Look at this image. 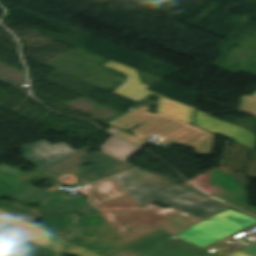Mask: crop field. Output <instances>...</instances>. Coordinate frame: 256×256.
I'll list each match as a JSON object with an SVG mask.
<instances>
[{"label": "crop field", "instance_id": "crop-field-6", "mask_svg": "<svg viewBox=\"0 0 256 256\" xmlns=\"http://www.w3.org/2000/svg\"><path fill=\"white\" fill-rule=\"evenodd\" d=\"M162 230L101 254L102 256H218Z\"/></svg>", "mask_w": 256, "mask_h": 256}, {"label": "crop field", "instance_id": "crop-field-20", "mask_svg": "<svg viewBox=\"0 0 256 256\" xmlns=\"http://www.w3.org/2000/svg\"><path fill=\"white\" fill-rule=\"evenodd\" d=\"M219 171V170H218ZM221 172V171H220ZM226 174V173H225ZM227 175H229V174H227ZM230 176H232V175H230ZM232 177H234L235 178V176H232Z\"/></svg>", "mask_w": 256, "mask_h": 256}, {"label": "crop field", "instance_id": "crop-field-10", "mask_svg": "<svg viewBox=\"0 0 256 256\" xmlns=\"http://www.w3.org/2000/svg\"><path fill=\"white\" fill-rule=\"evenodd\" d=\"M234 180L230 176L214 171L211 185L221 190L210 195L243 209L248 205L247 191Z\"/></svg>", "mask_w": 256, "mask_h": 256}, {"label": "crop field", "instance_id": "crop-field-1", "mask_svg": "<svg viewBox=\"0 0 256 256\" xmlns=\"http://www.w3.org/2000/svg\"><path fill=\"white\" fill-rule=\"evenodd\" d=\"M19 175L22 174L11 167L0 165V181L15 188L12 190L0 183V197L8 195V198L28 205L43 201L41 206L37 210L14 201L1 200L0 209L98 254L125 244L100 213L80 217L73 213V210L84 214L97 212L88 200L81 196L63 200L49 191L21 183L14 178ZM39 217L43 226L35 223ZM84 232H99L107 236H83Z\"/></svg>", "mask_w": 256, "mask_h": 256}, {"label": "crop field", "instance_id": "crop-field-9", "mask_svg": "<svg viewBox=\"0 0 256 256\" xmlns=\"http://www.w3.org/2000/svg\"><path fill=\"white\" fill-rule=\"evenodd\" d=\"M0 226L19 233L23 237L57 253H63L68 242L61 237L40 229L2 210H0Z\"/></svg>", "mask_w": 256, "mask_h": 256}, {"label": "crop field", "instance_id": "crop-field-13", "mask_svg": "<svg viewBox=\"0 0 256 256\" xmlns=\"http://www.w3.org/2000/svg\"><path fill=\"white\" fill-rule=\"evenodd\" d=\"M140 169V168H139ZM151 181L152 183H154L157 187H159L160 189L162 188H165L167 190H170V189H173V188H177V187H181V188H185V187H182V186H179L177 184H174V183H171V182H168L160 177H157L151 173H148L146 171L143 170V176L137 178V179H134L132 180V182L136 185V186H140L144 183H147ZM207 199L206 197L196 193V192H191L187 195H184L182 197H179L175 200H178V201H184V202H200V201H203Z\"/></svg>", "mask_w": 256, "mask_h": 256}, {"label": "crop field", "instance_id": "crop-field-8", "mask_svg": "<svg viewBox=\"0 0 256 256\" xmlns=\"http://www.w3.org/2000/svg\"><path fill=\"white\" fill-rule=\"evenodd\" d=\"M105 66L123 72L127 75L126 82L114 91L115 94L135 102L145 98L151 93L160 96V101L156 109L157 111L192 125L194 113L193 108L146 90L150 86L141 83L137 71L131 67L119 64L113 60L109 61Z\"/></svg>", "mask_w": 256, "mask_h": 256}, {"label": "crop field", "instance_id": "crop-field-11", "mask_svg": "<svg viewBox=\"0 0 256 256\" xmlns=\"http://www.w3.org/2000/svg\"><path fill=\"white\" fill-rule=\"evenodd\" d=\"M195 125L212 132L228 135L246 147L253 148L254 146L253 132L250 133L240 127L214 119L199 111L196 112Z\"/></svg>", "mask_w": 256, "mask_h": 256}, {"label": "crop field", "instance_id": "crop-field-16", "mask_svg": "<svg viewBox=\"0 0 256 256\" xmlns=\"http://www.w3.org/2000/svg\"><path fill=\"white\" fill-rule=\"evenodd\" d=\"M239 251L246 253L250 256H256V242L240 249Z\"/></svg>", "mask_w": 256, "mask_h": 256}, {"label": "crop field", "instance_id": "crop-field-14", "mask_svg": "<svg viewBox=\"0 0 256 256\" xmlns=\"http://www.w3.org/2000/svg\"><path fill=\"white\" fill-rule=\"evenodd\" d=\"M101 148L104 152L123 161L127 160L136 150L139 149L114 136H112Z\"/></svg>", "mask_w": 256, "mask_h": 256}, {"label": "crop field", "instance_id": "crop-field-18", "mask_svg": "<svg viewBox=\"0 0 256 256\" xmlns=\"http://www.w3.org/2000/svg\"><path fill=\"white\" fill-rule=\"evenodd\" d=\"M229 256H248V255L243 254V253L237 251V252H235V253H233V254H231V255H229Z\"/></svg>", "mask_w": 256, "mask_h": 256}, {"label": "crop field", "instance_id": "crop-field-5", "mask_svg": "<svg viewBox=\"0 0 256 256\" xmlns=\"http://www.w3.org/2000/svg\"><path fill=\"white\" fill-rule=\"evenodd\" d=\"M141 175L142 171L137 169L133 172L114 177L113 179L119 183L130 195H132L141 205L156 200L202 220L227 208L210 199L200 203H183L173 201V199L191 192L188 189L177 188L171 191H167L165 189L160 190L151 182L140 187H136L130 180Z\"/></svg>", "mask_w": 256, "mask_h": 256}, {"label": "crop field", "instance_id": "crop-field-4", "mask_svg": "<svg viewBox=\"0 0 256 256\" xmlns=\"http://www.w3.org/2000/svg\"><path fill=\"white\" fill-rule=\"evenodd\" d=\"M147 107L130 112L108 125L131 128L139 123H143L138 128L132 130L135 136L146 139L154 134L163 138L160 142L170 143L175 141L179 144L197 148L195 152L208 154L213 146L214 135L195 126H191L182 121L157 112L152 114L145 111Z\"/></svg>", "mask_w": 256, "mask_h": 256}, {"label": "crop field", "instance_id": "crop-field-12", "mask_svg": "<svg viewBox=\"0 0 256 256\" xmlns=\"http://www.w3.org/2000/svg\"><path fill=\"white\" fill-rule=\"evenodd\" d=\"M0 243L27 256H62L0 227Z\"/></svg>", "mask_w": 256, "mask_h": 256}, {"label": "crop field", "instance_id": "crop-field-3", "mask_svg": "<svg viewBox=\"0 0 256 256\" xmlns=\"http://www.w3.org/2000/svg\"><path fill=\"white\" fill-rule=\"evenodd\" d=\"M20 148L31 162L71 187L85 185L136 168L104 152L90 154V146L75 151L64 142L52 145L43 140ZM90 162L96 165L77 169Z\"/></svg>", "mask_w": 256, "mask_h": 256}, {"label": "crop field", "instance_id": "crop-field-7", "mask_svg": "<svg viewBox=\"0 0 256 256\" xmlns=\"http://www.w3.org/2000/svg\"><path fill=\"white\" fill-rule=\"evenodd\" d=\"M253 224H256L255 219L227 210L176 236L203 247Z\"/></svg>", "mask_w": 256, "mask_h": 256}, {"label": "crop field", "instance_id": "crop-field-2", "mask_svg": "<svg viewBox=\"0 0 256 256\" xmlns=\"http://www.w3.org/2000/svg\"><path fill=\"white\" fill-rule=\"evenodd\" d=\"M89 186L79 191L126 243L159 229L175 235L202 221L173 208L161 213L153 202L141 206L112 178Z\"/></svg>", "mask_w": 256, "mask_h": 256}, {"label": "crop field", "instance_id": "crop-field-17", "mask_svg": "<svg viewBox=\"0 0 256 256\" xmlns=\"http://www.w3.org/2000/svg\"><path fill=\"white\" fill-rule=\"evenodd\" d=\"M246 208H247V207H246ZM245 211L256 215V209L253 208V207H251V206H249L247 209H245Z\"/></svg>", "mask_w": 256, "mask_h": 256}, {"label": "crop field", "instance_id": "crop-field-21", "mask_svg": "<svg viewBox=\"0 0 256 256\" xmlns=\"http://www.w3.org/2000/svg\"><path fill=\"white\" fill-rule=\"evenodd\" d=\"M252 96L256 97V93L254 95H252Z\"/></svg>", "mask_w": 256, "mask_h": 256}, {"label": "crop field", "instance_id": "crop-field-19", "mask_svg": "<svg viewBox=\"0 0 256 256\" xmlns=\"http://www.w3.org/2000/svg\"><path fill=\"white\" fill-rule=\"evenodd\" d=\"M256 239L255 238H253V237H250V238H247V239H243V241H246V242H248V243H251V242H253V241H255Z\"/></svg>", "mask_w": 256, "mask_h": 256}, {"label": "crop field", "instance_id": "crop-field-15", "mask_svg": "<svg viewBox=\"0 0 256 256\" xmlns=\"http://www.w3.org/2000/svg\"><path fill=\"white\" fill-rule=\"evenodd\" d=\"M65 254L74 256H100L71 242L69 243Z\"/></svg>", "mask_w": 256, "mask_h": 256}]
</instances>
